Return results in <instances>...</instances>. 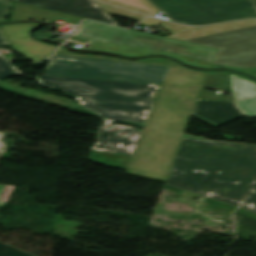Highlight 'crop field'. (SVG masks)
I'll return each mask as SVG.
<instances>
[{"label":"crop field","instance_id":"dd49c442","mask_svg":"<svg viewBox=\"0 0 256 256\" xmlns=\"http://www.w3.org/2000/svg\"><path fill=\"white\" fill-rule=\"evenodd\" d=\"M218 49L213 64L256 67V26L184 41Z\"/></svg>","mask_w":256,"mask_h":256},{"label":"crop field","instance_id":"4a817a6b","mask_svg":"<svg viewBox=\"0 0 256 256\" xmlns=\"http://www.w3.org/2000/svg\"><path fill=\"white\" fill-rule=\"evenodd\" d=\"M10 2L7 0H0V19L5 18L8 12Z\"/></svg>","mask_w":256,"mask_h":256},{"label":"crop field","instance_id":"d1516ede","mask_svg":"<svg viewBox=\"0 0 256 256\" xmlns=\"http://www.w3.org/2000/svg\"><path fill=\"white\" fill-rule=\"evenodd\" d=\"M70 40L78 41L85 43L89 40L82 39V38H74L71 37ZM91 41L92 48L91 49H97V50H107L115 53H120V54H126L130 56H141V55H147V54H153V53H160V54H166L170 56H174L184 62H187L189 64L199 66V67H210L211 63L210 62H205V61H200L196 59H191L171 53H166V52H160V51H154V50H147V49H141V48H134V47H126V46H120V45H115V44H110V43H105V42H99V41Z\"/></svg>","mask_w":256,"mask_h":256},{"label":"crop field","instance_id":"e52e79f7","mask_svg":"<svg viewBox=\"0 0 256 256\" xmlns=\"http://www.w3.org/2000/svg\"><path fill=\"white\" fill-rule=\"evenodd\" d=\"M41 26L43 25L14 24L0 26V29L13 50L24 54L34 61H40L57 49L56 46L37 43L30 37L31 32Z\"/></svg>","mask_w":256,"mask_h":256},{"label":"crop field","instance_id":"412701ff","mask_svg":"<svg viewBox=\"0 0 256 256\" xmlns=\"http://www.w3.org/2000/svg\"><path fill=\"white\" fill-rule=\"evenodd\" d=\"M170 21L203 25L256 17L254 0H149Z\"/></svg>","mask_w":256,"mask_h":256},{"label":"crop field","instance_id":"5a996713","mask_svg":"<svg viewBox=\"0 0 256 256\" xmlns=\"http://www.w3.org/2000/svg\"><path fill=\"white\" fill-rule=\"evenodd\" d=\"M192 116L218 127L245 115L234 103L199 100Z\"/></svg>","mask_w":256,"mask_h":256},{"label":"crop field","instance_id":"3316defc","mask_svg":"<svg viewBox=\"0 0 256 256\" xmlns=\"http://www.w3.org/2000/svg\"><path fill=\"white\" fill-rule=\"evenodd\" d=\"M160 25L172 34L165 37L184 41L188 39H193L197 37L229 31L233 29L253 26V25H256V20H246V21H240V22L225 23V24L214 25V26L203 27V28L184 27V26L175 25L173 23H169L166 21H163Z\"/></svg>","mask_w":256,"mask_h":256},{"label":"crop field","instance_id":"f4fd0767","mask_svg":"<svg viewBox=\"0 0 256 256\" xmlns=\"http://www.w3.org/2000/svg\"><path fill=\"white\" fill-rule=\"evenodd\" d=\"M73 36L126 46L166 51L210 62L213 61L217 51L165 37L125 30L89 20L83 21Z\"/></svg>","mask_w":256,"mask_h":256},{"label":"crop field","instance_id":"00972430","mask_svg":"<svg viewBox=\"0 0 256 256\" xmlns=\"http://www.w3.org/2000/svg\"><path fill=\"white\" fill-rule=\"evenodd\" d=\"M5 20H6V19L0 20V22H1V21H5Z\"/></svg>","mask_w":256,"mask_h":256},{"label":"crop field","instance_id":"d9b57169","mask_svg":"<svg viewBox=\"0 0 256 256\" xmlns=\"http://www.w3.org/2000/svg\"><path fill=\"white\" fill-rule=\"evenodd\" d=\"M8 46L5 38L0 31V47ZM20 74L15 71L5 60L0 57V80L19 76Z\"/></svg>","mask_w":256,"mask_h":256},{"label":"crop field","instance_id":"5142ce71","mask_svg":"<svg viewBox=\"0 0 256 256\" xmlns=\"http://www.w3.org/2000/svg\"><path fill=\"white\" fill-rule=\"evenodd\" d=\"M107 13L109 14H113L116 16H120L126 19H130L133 21H137L139 22L140 20H142L144 17V15H140V14H136L127 10H123L117 7H113V6H109V5H105V4H101L99 2H97Z\"/></svg>","mask_w":256,"mask_h":256},{"label":"crop field","instance_id":"cbeb9de0","mask_svg":"<svg viewBox=\"0 0 256 256\" xmlns=\"http://www.w3.org/2000/svg\"><path fill=\"white\" fill-rule=\"evenodd\" d=\"M54 54L85 57V58H94V59H103V60H112V61H121V62H130V63H139V64H147V65H156V66H165V67H172V68L185 70V71H189V72H193V73H199V74L207 75V73H204V72H198V71H194V70L185 69V68H183V67H181V66H179V65H177L173 62H170L168 60L161 59V58H150V59H145V60H141V61L132 62V61H127V60H122V59H117V58L73 55V54L69 53L68 51H66L62 48Z\"/></svg>","mask_w":256,"mask_h":256},{"label":"crop field","instance_id":"dafd665d","mask_svg":"<svg viewBox=\"0 0 256 256\" xmlns=\"http://www.w3.org/2000/svg\"><path fill=\"white\" fill-rule=\"evenodd\" d=\"M249 74H252V75L256 76V71L255 72H249Z\"/></svg>","mask_w":256,"mask_h":256},{"label":"crop field","instance_id":"28ad6ade","mask_svg":"<svg viewBox=\"0 0 256 256\" xmlns=\"http://www.w3.org/2000/svg\"><path fill=\"white\" fill-rule=\"evenodd\" d=\"M19 19H44L52 22L60 20L75 25H78L82 20L81 17L15 2V7L12 10L10 20Z\"/></svg>","mask_w":256,"mask_h":256},{"label":"crop field","instance_id":"733c2abd","mask_svg":"<svg viewBox=\"0 0 256 256\" xmlns=\"http://www.w3.org/2000/svg\"><path fill=\"white\" fill-rule=\"evenodd\" d=\"M0 256H35V255L23 252L7 244L0 243Z\"/></svg>","mask_w":256,"mask_h":256},{"label":"crop field","instance_id":"22f410ed","mask_svg":"<svg viewBox=\"0 0 256 256\" xmlns=\"http://www.w3.org/2000/svg\"><path fill=\"white\" fill-rule=\"evenodd\" d=\"M237 105L249 116H256V84L230 75Z\"/></svg>","mask_w":256,"mask_h":256},{"label":"crop field","instance_id":"8a807250","mask_svg":"<svg viewBox=\"0 0 256 256\" xmlns=\"http://www.w3.org/2000/svg\"><path fill=\"white\" fill-rule=\"evenodd\" d=\"M45 75L162 84L126 173L166 181L207 76L172 68L53 55Z\"/></svg>","mask_w":256,"mask_h":256},{"label":"crop field","instance_id":"bc2a9ffb","mask_svg":"<svg viewBox=\"0 0 256 256\" xmlns=\"http://www.w3.org/2000/svg\"><path fill=\"white\" fill-rule=\"evenodd\" d=\"M1 134H2V132H0V137H1ZM2 146L3 145L0 144V149H1ZM5 188H6V186L0 185V207H4V205H5V202L2 201L3 199L1 200Z\"/></svg>","mask_w":256,"mask_h":256},{"label":"crop field","instance_id":"92a150f3","mask_svg":"<svg viewBox=\"0 0 256 256\" xmlns=\"http://www.w3.org/2000/svg\"><path fill=\"white\" fill-rule=\"evenodd\" d=\"M231 74H232V75H235V76H238V77H241V78H243V79L249 80V79L244 78V77H242V76H240V75H238V74H234V73H232V72H231ZM249 81H251V80H249ZM252 82H254V81H252ZM255 83H256V82H255Z\"/></svg>","mask_w":256,"mask_h":256},{"label":"crop field","instance_id":"ac0d7876","mask_svg":"<svg viewBox=\"0 0 256 256\" xmlns=\"http://www.w3.org/2000/svg\"><path fill=\"white\" fill-rule=\"evenodd\" d=\"M36 82L74 96L82 107L98 114L93 162L125 170L142 131L110 123L124 120L145 123L161 85L36 75Z\"/></svg>","mask_w":256,"mask_h":256},{"label":"crop field","instance_id":"34b2d1b8","mask_svg":"<svg viewBox=\"0 0 256 256\" xmlns=\"http://www.w3.org/2000/svg\"><path fill=\"white\" fill-rule=\"evenodd\" d=\"M166 183L256 213V145L185 138Z\"/></svg>","mask_w":256,"mask_h":256},{"label":"crop field","instance_id":"d8731c3e","mask_svg":"<svg viewBox=\"0 0 256 256\" xmlns=\"http://www.w3.org/2000/svg\"><path fill=\"white\" fill-rule=\"evenodd\" d=\"M17 2L43 7L55 11L73 14L88 19L119 26L95 1L93 0H14Z\"/></svg>","mask_w":256,"mask_h":256},{"label":"crop field","instance_id":"a9b5d70f","mask_svg":"<svg viewBox=\"0 0 256 256\" xmlns=\"http://www.w3.org/2000/svg\"><path fill=\"white\" fill-rule=\"evenodd\" d=\"M11 1V0H10Z\"/></svg>","mask_w":256,"mask_h":256},{"label":"crop field","instance_id":"214f88e0","mask_svg":"<svg viewBox=\"0 0 256 256\" xmlns=\"http://www.w3.org/2000/svg\"><path fill=\"white\" fill-rule=\"evenodd\" d=\"M211 67H224V66L211 65ZM236 69H240V68H236ZM240 70H242V71H246V70H256V68L240 69Z\"/></svg>","mask_w":256,"mask_h":256}]
</instances>
